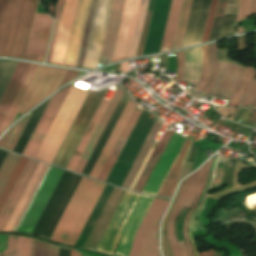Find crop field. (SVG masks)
I'll use <instances>...</instances> for the list:
<instances>
[{"mask_svg": "<svg viewBox=\"0 0 256 256\" xmlns=\"http://www.w3.org/2000/svg\"><path fill=\"white\" fill-rule=\"evenodd\" d=\"M37 0H0V56L25 57Z\"/></svg>", "mask_w": 256, "mask_h": 256, "instance_id": "obj_1", "label": "crop field"}, {"mask_svg": "<svg viewBox=\"0 0 256 256\" xmlns=\"http://www.w3.org/2000/svg\"><path fill=\"white\" fill-rule=\"evenodd\" d=\"M104 187L82 177L49 240L74 246Z\"/></svg>", "mask_w": 256, "mask_h": 256, "instance_id": "obj_2", "label": "crop field"}, {"mask_svg": "<svg viewBox=\"0 0 256 256\" xmlns=\"http://www.w3.org/2000/svg\"><path fill=\"white\" fill-rule=\"evenodd\" d=\"M86 94L87 91L71 86L35 156V159L51 164Z\"/></svg>", "mask_w": 256, "mask_h": 256, "instance_id": "obj_3", "label": "crop field"}, {"mask_svg": "<svg viewBox=\"0 0 256 256\" xmlns=\"http://www.w3.org/2000/svg\"><path fill=\"white\" fill-rule=\"evenodd\" d=\"M210 163H211V159L201 169H199L197 172H195L194 174L189 176V178L184 186V189L182 191V194H181V196H180V198H179V200L169 218L168 227H167V237H168V241H169L173 256H188L185 242L184 241L176 242L173 225H174L175 218H176L177 214L180 212V210L182 209V207L183 206L190 207L192 205V203L195 199V196L199 190V187L202 183V186L197 195V198H196L191 210L189 211L187 218L185 220V223L183 225V235H184V238L187 243L188 251H189L190 256H193L191 248H190V244L188 241L187 233H186V224H187L188 217H189L191 211L196 206L198 198L201 194V191L206 183Z\"/></svg>", "mask_w": 256, "mask_h": 256, "instance_id": "obj_4", "label": "crop field"}, {"mask_svg": "<svg viewBox=\"0 0 256 256\" xmlns=\"http://www.w3.org/2000/svg\"><path fill=\"white\" fill-rule=\"evenodd\" d=\"M37 68L36 64L18 63L0 100V133L11 124Z\"/></svg>", "mask_w": 256, "mask_h": 256, "instance_id": "obj_5", "label": "crop field"}, {"mask_svg": "<svg viewBox=\"0 0 256 256\" xmlns=\"http://www.w3.org/2000/svg\"><path fill=\"white\" fill-rule=\"evenodd\" d=\"M169 201L157 197L153 199L134 236L129 256H159L158 226Z\"/></svg>", "mask_w": 256, "mask_h": 256, "instance_id": "obj_6", "label": "crop field"}, {"mask_svg": "<svg viewBox=\"0 0 256 256\" xmlns=\"http://www.w3.org/2000/svg\"><path fill=\"white\" fill-rule=\"evenodd\" d=\"M243 68L234 63L219 61V73L210 95L231 100L243 75ZM252 67H245L243 79L228 106H236L247 86Z\"/></svg>", "mask_w": 256, "mask_h": 256, "instance_id": "obj_7", "label": "crop field"}, {"mask_svg": "<svg viewBox=\"0 0 256 256\" xmlns=\"http://www.w3.org/2000/svg\"><path fill=\"white\" fill-rule=\"evenodd\" d=\"M66 71L40 65L17 114L27 112L58 89Z\"/></svg>", "mask_w": 256, "mask_h": 256, "instance_id": "obj_8", "label": "crop field"}, {"mask_svg": "<svg viewBox=\"0 0 256 256\" xmlns=\"http://www.w3.org/2000/svg\"><path fill=\"white\" fill-rule=\"evenodd\" d=\"M140 194L126 191L104 235L102 236L96 251L113 254L119 236L132 213Z\"/></svg>", "mask_w": 256, "mask_h": 256, "instance_id": "obj_9", "label": "crop field"}, {"mask_svg": "<svg viewBox=\"0 0 256 256\" xmlns=\"http://www.w3.org/2000/svg\"><path fill=\"white\" fill-rule=\"evenodd\" d=\"M113 0H100L83 68L95 69L105 35Z\"/></svg>", "mask_w": 256, "mask_h": 256, "instance_id": "obj_10", "label": "crop field"}, {"mask_svg": "<svg viewBox=\"0 0 256 256\" xmlns=\"http://www.w3.org/2000/svg\"><path fill=\"white\" fill-rule=\"evenodd\" d=\"M140 1L126 0L111 62L125 59L128 56Z\"/></svg>", "mask_w": 256, "mask_h": 256, "instance_id": "obj_11", "label": "crop field"}, {"mask_svg": "<svg viewBox=\"0 0 256 256\" xmlns=\"http://www.w3.org/2000/svg\"><path fill=\"white\" fill-rule=\"evenodd\" d=\"M184 139V137L178 135L174 131L168 145L166 146L159 162L157 163L151 177L149 178L143 190L144 193L156 195Z\"/></svg>", "mask_w": 256, "mask_h": 256, "instance_id": "obj_12", "label": "crop field"}, {"mask_svg": "<svg viewBox=\"0 0 256 256\" xmlns=\"http://www.w3.org/2000/svg\"><path fill=\"white\" fill-rule=\"evenodd\" d=\"M52 23L48 14L36 13L25 59L43 62L48 42L38 38L40 32L50 33ZM49 35L41 33L39 40L48 41Z\"/></svg>", "mask_w": 256, "mask_h": 256, "instance_id": "obj_13", "label": "crop field"}, {"mask_svg": "<svg viewBox=\"0 0 256 256\" xmlns=\"http://www.w3.org/2000/svg\"><path fill=\"white\" fill-rule=\"evenodd\" d=\"M70 86L66 87L56 95H54L44 112L38 126L36 127L31 139L29 140L23 155L34 157L41 141L43 140L51 122L53 121L60 105L62 104Z\"/></svg>", "mask_w": 256, "mask_h": 256, "instance_id": "obj_14", "label": "crop field"}, {"mask_svg": "<svg viewBox=\"0 0 256 256\" xmlns=\"http://www.w3.org/2000/svg\"><path fill=\"white\" fill-rule=\"evenodd\" d=\"M91 0H79L63 65L75 67Z\"/></svg>", "mask_w": 256, "mask_h": 256, "instance_id": "obj_15", "label": "crop field"}, {"mask_svg": "<svg viewBox=\"0 0 256 256\" xmlns=\"http://www.w3.org/2000/svg\"><path fill=\"white\" fill-rule=\"evenodd\" d=\"M78 0H65L50 63L62 65Z\"/></svg>", "mask_w": 256, "mask_h": 256, "instance_id": "obj_16", "label": "crop field"}, {"mask_svg": "<svg viewBox=\"0 0 256 256\" xmlns=\"http://www.w3.org/2000/svg\"><path fill=\"white\" fill-rule=\"evenodd\" d=\"M155 198V197H154ZM153 197L141 195L133 213L131 214L116 248L115 254L128 256L133 236L145 215Z\"/></svg>", "mask_w": 256, "mask_h": 256, "instance_id": "obj_17", "label": "crop field"}, {"mask_svg": "<svg viewBox=\"0 0 256 256\" xmlns=\"http://www.w3.org/2000/svg\"><path fill=\"white\" fill-rule=\"evenodd\" d=\"M37 164L38 161L28 159L17 183L0 213V231H3Z\"/></svg>", "mask_w": 256, "mask_h": 256, "instance_id": "obj_18", "label": "crop field"}, {"mask_svg": "<svg viewBox=\"0 0 256 256\" xmlns=\"http://www.w3.org/2000/svg\"><path fill=\"white\" fill-rule=\"evenodd\" d=\"M125 90H123L121 87L118 86L109 106L107 107L97 129L95 130L86 150L84 151L76 169H75V172L81 174L87 160L89 159L94 147L96 146L102 132L104 131L109 119L111 118L117 104L119 103L123 93H124Z\"/></svg>", "mask_w": 256, "mask_h": 256, "instance_id": "obj_19", "label": "crop field"}, {"mask_svg": "<svg viewBox=\"0 0 256 256\" xmlns=\"http://www.w3.org/2000/svg\"><path fill=\"white\" fill-rule=\"evenodd\" d=\"M125 0H114L100 57L111 60Z\"/></svg>", "mask_w": 256, "mask_h": 256, "instance_id": "obj_20", "label": "crop field"}, {"mask_svg": "<svg viewBox=\"0 0 256 256\" xmlns=\"http://www.w3.org/2000/svg\"><path fill=\"white\" fill-rule=\"evenodd\" d=\"M134 107H135V104H133L132 102H130L128 100V102H127V104H126V106H125L117 124L115 125V127H114V129H113V131H112V133H111L103 151L101 152V154H100V156H99V158H98V160H97V162H96V164H95V166H94V168H93V170L90 174V177H93V178L97 179L103 165L105 164V162H106L114 144L116 143V141H117V139H118V137H119V135H120L127 119H128V117H129V115H130V113H131V111Z\"/></svg>", "mask_w": 256, "mask_h": 256, "instance_id": "obj_21", "label": "crop field"}, {"mask_svg": "<svg viewBox=\"0 0 256 256\" xmlns=\"http://www.w3.org/2000/svg\"><path fill=\"white\" fill-rule=\"evenodd\" d=\"M192 141L185 139L172 167L170 168L165 180L163 181L157 195L171 197L178 183L179 175L186 154L192 145Z\"/></svg>", "mask_w": 256, "mask_h": 256, "instance_id": "obj_22", "label": "crop field"}, {"mask_svg": "<svg viewBox=\"0 0 256 256\" xmlns=\"http://www.w3.org/2000/svg\"><path fill=\"white\" fill-rule=\"evenodd\" d=\"M139 115H140V112H138L136 110L133 111V113H132L130 119L128 120L122 134L120 135L114 149L112 150V152H111V154H110V156H109V158H108V160H107V162H106L98 180H101V181L105 182L112 166L114 165L122 147L124 146L131 130L133 129Z\"/></svg>", "mask_w": 256, "mask_h": 256, "instance_id": "obj_23", "label": "crop field"}, {"mask_svg": "<svg viewBox=\"0 0 256 256\" xmlns=\"http://www.w3.org/2000/svg\"><path fill=\"white\" fill-rule=\"evenodd\" d=\"M108 103H109L108 100L102 99V101H101V103H100L92 121L90 122V124H89V126H88V128H87L79 146L77 145L78 147H77L70 163L68 162L69 163V165L67 164L68 167L66 166L68 170L74 171V169H75V167H76L84 149L86 148V146H87V144H88V142H89L96 126H97V124L99 123V121H100V119H101V117H102V115H103V113H104V111L107 107Z\"/></svg>", "mask_w": 256, "mask_h": 256, "instance_id": "obj_24", "label": "crop field"}, {"mask_svg": "<svg viewBox=\"0 0 256 256\" xmlns=\"http://www.w3.org/2000/svg\"><path fill=\"white\" fill-rule=\"evenodd\" d=\"M173 131H166L163 133L160 142L158 143L157 147L155 148L151 158L149 159L142 175L140 176L134 190L142 192L148 178L150 177L157 161L159 160L165 146L167 145Z\"/></svg>", "mask_w": 256, "mask_h": 256, "instance_id": "obj_25", "label": "crop field"}, {"mask_svg": "<svg viewBox=\"0 0 256 256\" xmlns=\"http://www.w3.org/2000/svg\"><path fill=\"white\" fill-rule=\"evenodd\" d=\"M44 167H45V164L39 162V164H38V166H37V168H36L32 178L30 179V181H29V183H28V185H27L23 195L21 196V198H20V200H19V202H18V204H17L13 214L11 215V217H10V219H9L5 229H4V231H11V229H12L16 219L18 218V216H19L23 206L25 205V203H26V201H27L31 191L33 190V188H34L38 178L40 177Z\"/></svg>", "mask_w": 256, "mask_h": 256, "instance_id": "obj_26", "label": "crop field"}, {"mask_svg": "<svg viewBox=\"0 0 256 256\" xmlns=\"http://www.w3.org/2000/svg\"><path fill=\"white\" fill-rule=\"evenodd\" d=\"M183 0H172L171 9L165 29V34L162 42L161 49L167 48V50H160L162 51H168L171 49V46H168V42L173 41L181 5ZM172 45V44H171Z\"/></svg>", "mask_w": 256, "mask_h": 256, "instance_id": "obj_27", "label": "crop field"}, {"mask_svg": "<svg viewBox=\"0 0 256 256\" xmlns=\"http://www.w3.org/2000/svg\"><path fill=\"white\" fill-rule=\"evenodd\" d=\"M99 0H92L76 67L82 68Z\"/></svg>", "mask_w": 256, "mask_h": 256, "instance_id": "obj_28", "label": "crop field"}, {"mask_svg": "<svg viewBox=\"0 0 256 256\" xmlns=\"http://www.w3.org/2000/svg\"><path fill=\"white\" fill-rule=\"evenodd\" d=\"M191 3H192V0H184L183 1V5H182V9H181V13H180V17H179V21H178V25H177V29H176V33H175V37H174V41H173L171 50L180 48L182 45V41H183L185 29H186V24H187L189 12H190Z\"/></svg>", "mask_w": 256, "mask_h": 256, "instance_id": "obj_29", "label": "crop field"}, {"mask_svg": "<svg viewBox=\"0 0 256 256\" xmlns=\"http://www.w3.org/2000/svg\"><path fill=\"white\" fill-rule=\"evenodd\" d=\"M27 121L18 122L0 140V147L13 151Z\"/></svg>", "mask_w": 256, "mask_h": 256, "instance_id": "obj_30", "label": "crop field"}, {"mask_svg": "<svg viewBox=\"0 0 256 256\" xmlns=\"http://www.w3.org/2000/svg\"><path fill=\"white\" fill-rule=\"evenodd\" d=\"M20 155L8 152L0 168V194L2 193L10 175L12 174Z\"/></svg>", "mask_w": 256, "mask_h": 256, "instance_id": "obj_31", "label": "crop field"}, {"mask_svg": "<svg viewBox=\"0 0 256 256\" xmlns=\"http://www.w3.org/2000/svg\"><path fill=\"white\" fill-rule=\"evenodd\" d=\"M148 2H149V0H142V2H141V6H140V10H139L137 23H136V27H135L133 40H132L128 58L134 57L136 54V50H137V46H138V42H139V38H140L142 26H143L145 14H146Z\"/></svg>", "mask_w": 256, "mask_h": 256, "instance_id": "obj_32", "label": "crop field"}, {"mask_svg": "<svg viewBox=\"0 0 256 256\" xmlns=\"http://www.w3.org/2000/svg\"><path fill=\"white\" fill-rule=\"evenodd\" d=\"M227 0H218L215 14H214V19L209 35V40L217 39L219 36L225 8H226Z\"/></svg>", "mask_w": 256, "mask_h": 256, "instance_id": "obj_33", "label": "crop field"}, {"mask_svg": "<svg viewBox=\"0 0 256 256\" xmlns=\"http://www.w3.org/2000/svg\"><path fill=\"white\" fill-rule=\"evenodd\" d=\"M26 161H27V158L21 156L13 174L11 175L3 193L0 196V211H1L2 207L4 206V204H5L8 196H9L14 184L16 183V181H17V179H18Z\"/></svg>", "mask_w": 256, "mask_h": 256, "instance_id": "obj_34", "label": "crop field"}, {"mask_svg": "<svg viewBox=\"0 0 256 256\" xmlns=\"http://www.w3.org/2000/svg\"><path fill=\"white\" fill-rule=\"evenodd\" d=\"M210 50V79L203 90V93H209L218 73V50L216 43L209 45Z\"/></svg>", "mask_w": 256, "mask_h": 256, "instance_id": "obj_35", "label": "crop field"}, {"mask_svg": "<svg viewBox=\"0 0 256 256\" xmlns=\"http://www.w3.org/2000/svg\"><path fill=\"white\" fill-rule=\"evenodd\" d=\"M256 69H253L251 80L242 95L238 106H255L256 107Z\"/></svg>", "mask_w": 256, "mask_h": 256, "instance_id": "obj_36", "label": "crop field"}, {"mask_svg": "<svg viewBox=\"0 0 256 256\" xmlns=\"http://www.w3.org/2000/svg\"><path fill=\"white\" fill-rule=\"evenodd\" d=\"M59 247L33 239L31 256H58Z\"/></svg>", "mask_w": 256, "mask_h": 256, "instance_id": "obj_37", "label": "crop field"}, {"mask_svg": "<svg viewBox=\"0 0 256 256\" xmlns=\"http://www.w3.org/2000/svg\"><path fill=\"white\" fill-rule=\"evenodd\" d=\"M202 52V77L195 87V89H198L200 91L203 90L207 80L209 79V59H208V49L207 45L201 47Z\"/></svg>", "mask_w": 256, "mask_h": 256, "instance_id": "obj_38", "label": "crop field"}, {"mask_svg": "<svg viewBox=\"0 0 256 256\" xmlns=\"http://www.w3.org/2000/svg\"><path fill=\"white\" fill-rule=\"evenodd\" d=\"M200 76L201 66H195V62H186V71L183 78L197 83Z\"/></svg>", "mask_w": 256, "mask_h": 256, "instance_id": "obj_39", "label": "crop field"}, {"mask_svg": "<svg viewBox=\"0 0 256 256\" xmlns=\"http://www.w3.org/2000/svg\"><path fill=\"white\" fill-rule=\"evenodd\" d=\"M32 239L18 236L16 256H30Z\"/></svg>", "mask_w": 256, "mask_h": 256, "instance_id": "obj_40", "label": "crop field"}, {"mask_svg": "<svg viewBox=\"0 0 256 256\" xmlns=\"http://www.w3.org/2000/svg\"><path fill=\"white\" fill-rule=\"evenodd\" d=\"M62 4H63V0H59L58 4L56 6V22H55L51 42L49 45V49H48V53H47V57H46V61H45L47 63H49V61H50V57H51V53H52V49H53V45H54V41H55V36H56V32H57V28H58V24H59V20H60V16H61Z\"/></svg>", "mask_w": 256, "mask_h": 256, "instance_id": "obj_41", "label": "crop field"}, {"mask_svg": "<svg viewBox=\"0 0 256 256\" xmlns=\"http://www.w3.org/2000/svg\"><path fill=\"white\" fill-rule=\"evenodd\" d=\"M48 168H49V166L46 165V167H45V169H44V171H43L41 177L39 178V180H38V182H37V184H36L34 190L32 191V193H31V195H30V197H29V199H28L26 205L24 206V208H23V210H22V212H21L19 218L17 219V221H16V223H15L13 229H12L13 232H15V230H16V228H17L19 222H20V220L22 219V217H23V215H24V213H25L27 207L29 206V204H30V202H31V200H32V198H33L35 192L37 191V189H38V187H39V185H40L42 179L44 178V176H45V174H46Z\"/></svg>", "mask_w": 256, "mask_h": 256, "instance_id": "obj_42", "label": "crop field"}, {"mask_svg": "<svg viewBox=\"0 0 256 256\" xmlns=\"http://www.w3.org/2000/svg\"><path fill=\"white\" fill-rule=\"evenodd\" d=\"M184 71H185L184 53H183V51H180V52H177V73H176L175 78L173 79L178 84L184 75Z\"/></svg>", "mask_w": 256, "mask_h": 256, "instance_id": "obj_43", "label": "crop field"}, {"mask_svg": "<svg viewBox=\"0 0 256 256\" xmlns=\"http://www.w3.org/2000/svg\"><path fill=\"white\" fill-rule=\"evenodd\" d=\"M251 0H241L236 22L248 17Z\"/></svg>", "mask_w": 256, "mask_h": 256, "instance_id": "obj_44", "label": "crop field"}, {"mask_svg": "<svg viewBox=\"0 0 256 256\" xmlns=\"http://www.w3.org/2000/svg\"><path fill=\"white\" fill-rule=\"evenodd\" d=\"M216 2H217V0H212V2H211V7H210V11H209L208 20H207V24H206L205 33H204L202 43L206 42L207 39H208V35H209V31H210V27H211V23H212V19H213V14H214L215 6H216Z\"/></svg>", "mask_w": 256, "mask_h": 256, "instance_id": "obj_45", "label": "crop field"}, {"mask_svg": "<svg viewBox=\"0 0 256 256\" xmlns=\"http://www.w3.org/2000/svg\"><path fill=\"white\" fill-rule=\"evenodd\" d=\"M17 236H8L7 249L3 252V256H15Z\"/></svg>", "mask_w": 256, "mask_h": 256, "instance_id": "obj_46", "label": "crop field"}, {"mask_svg": "<svg viewBox=\"0 0 256 256\" xmlns=\"http://www.w3.org/2000/svg\"><path fill=\"white\" fill-rule=\"evenodd\" d=\"M156 144H154L152 147H150V149H149V151H148V153H147V155H146V157H145V159H144V161H143V163H142V165H141V167H140V169H139V171H138V173H137V175H136V177H135V179H134V181H133V183H132V185L130 187L131 190H133V188H134V186H135V184H136V182H137L141 172L143 171V169H144V167H145V165H146V163H147V161H148L152 151L154 150Z\"/></svg>", "mask_w": 256, "mask_h": 256, "instance_id": "obj_47", "label": "crop field"}, {"mask_svg": "<svg viewBox=\"0 0 256 256\" xmlns=\"http://www.w3.org/2000/svg\"><path fill=\"white\" fill-rule=\"evenodd\" d=\"M78 72L79 71L68 70L66 75H65V77H64V79H63V81H62V83H61V85L66 83L67 81L75 78L77 76Z\"/></svg>", "mask_w": 256, "mask_h": 256, "instance_id": "obj_48", "label": "crop field"}, {"mask_svg": "<svg viewBox=\"0 0 256 256\" xmlns=\"http://www.w3.org/2000/svg\"><path fill=\"white\" fill-rule=\"evenodd\" d=\"M256 14V0H252L251 9H250V15Z\"/></svg>", "mask_w": 256, "mask_h": 256, "instance_id": "obj_49", "label": "crop field"}, {"mask_svg": "<svg viewBox=\"0 0 256 256\" xmlns=\"http://www.w3.org/2000/svg\"><path fill=\"white\" fill-rule=\"evenodd\" d=\"M5 240H6V235H0V250H3L5 247Z\"/></svg>", "mask_w": 256, "mask_h": 256, "instance_id": "obj_50", "label": "crop field"}, {"mask_svg": "<svg viewBox=\"0 0 256 256\" xmlns=\"http://www.w3.org/2000/svg\"><path fill=\"white\" fill-rule=\"evenodd\" d=\"M215 253H216V252H213V251L208 250V251H203L202 253H200V256H212V255H214ZM215 256H221V255L217 254V255H215Z\"/></svg>", "mask_w": 256, "mask_h": 256, "instance_id": "obj_51", "label": "crop field"}, {"mask_svg": "<svg viewBox=\"0 0 256 256\" xmlns=\"http://www.w3.org/2000/svg\"><path fill=\"white\" fill-rule=\"evenodd\" d=\"M247 122H248V123L255 124V122H256V109H255V111L253 112V114L250 116V118L248 119Z\"/></svg>", "mask_w": 256, "mask_h": 256, "instance_id": "obj_52", "label": "crop field"}, {"mask_svg": "<svg viewBox=\"0 0 256 256\" xmlns=\"http://www.w3.org/2000/svg\"><path fill=\"white\" fill-rule=\"evenodd\" d=\"M121 71L123 72L128 71V62L122 63Z\"/></svg>", "mask_w": 256, "mask_h": 256, "instance_id": "obj_53", "label": "crop field"}, {"mask_svg": "<svg viewBox=\"0 0 256 256\" xmlns=\"http://www.w3.org/2000/svg\"><path fill=\"white\" fill-rule=\"evenodd\" d=\"M70 256H81L80 254H78L76 251L71 250V254Z\"/></svg>", "mask_w": 256, "mask_h": 256, "instance_id": "obj_54", "label": "crop field"}, {"mask_svg": "<svg viewBox=\"0 0 256 256\" xmlns=\"http://www.w3.org/2000/svg\"><path fill=\"white\" fill-rule=\"evenodd\" d=\"M83 256V255H82Z\"/></svg>", "mask_w": 256, "mask_h": 256, "instance_id": "obj_55", "label": "crop field"}]
</instances>
